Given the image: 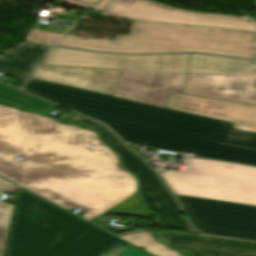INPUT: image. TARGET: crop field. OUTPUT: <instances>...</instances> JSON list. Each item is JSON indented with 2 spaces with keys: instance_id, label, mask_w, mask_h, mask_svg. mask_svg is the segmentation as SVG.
<instances>
[{
  "instance_id": "1",
  "label": "crop field",
  "mask_w": 256,
  "mask_h": 256,
  "mask_svg": "<svg viewBox=\"0 0 256 256\" xmlns=\"http://www.w3.org/2000/svg\"><path fill=\"white\" fill-rule=\"evenodd\" d=\"M118 165L95 132L0 106V175L66 209L86 211L83 218L101 228L106 212L151 215L130 209L142 199L134 176Z\"/></svg>"
},
{
  "instance_id": "2",
  "label": "crop field",
  "mask_w": 256,
  "mask_h": 256,
  "mask_svg": "<svg viewBox=\"0 0 256 256\" xmlns=\"http://www.w3.org/2000/svg\"><path fill=\"white\" fill-rule=\"evenodd\" d=\"M24 90L105 122L130 143L256 165V150L222 144L231 123L33 78Z\"/></svg>"
},
{
  "instance_id": "3",
  "label": "crop field",
  "mask_w": 256,
  "mask_h": 256,
  "mask_svg": "<svg viewBox=\"0 0 256 256\" xmlns=\"http://www.w3.org/2000/svg\"><path fill=\"white\" fill-rule=\"evenodd\" d=\"M128 246L20 189L4 256H117Z\"/></svg>"
},
{
  "instance_id": "4",
  "label": "crop field",
  "mask_w": 256,
  "mask_h": 256,
  "mask_svg": "<svg viewBox=\"0 0 256 256\" xmlns=\"http://www.w3.org/2000/svg\"><path fill=\"white\" fill-rule=\"evenodd\" d=\"M57 45L109 53L202 52L256 58V32L133 20L128 36L114 41L66 35Z\"/></svg>"
},
{
  "instance_id": "5",
  "label": "crop field",
  "mask_w": 256,
  "mask_h": 256,
  "mask_svg": "<svg viewBox=\"0 0 256 256\" xmlns=\"http://www.w3.org/2000/svg\"><path fill=\"white\" fill-rule=\"evenodd\" d=\"M186 162L185 173L162 172L174 193L256 205V168L192 158Z\"/></svg>"
},
{
  "instance_id": "6",
  "label": "crop field",
  "mask_w": 256,
  "mask_h": 256,
  "mask_svg": "<svg viewBox=\"0 0 256 256\" xmlns=\"http://www.w3.org/2000/svg\"><path fill=\"white\" fill-rule=\"evenodd\" d=\"M89 128L99 130L102 139L122 156V165L140 179V194L145 198L143 207L157 214L158 222L169 229L192 231L186 218L180 217L182 210L155 171L125 146L110 130L97 121L78 120Z\"/></svg>"
},
{
  "instance_id": "7",
  "label": "crop field",
  "mask_w": 256,
  "mask_h": 256,
  "mask_svg": "<svg viewBox=\"0 0 256 256\" xmlns=\"http://www.w3.org/2000/svg\"><path fill=\"white\" fill-rule=\"evenodd\" d=\"M177 196L202 232L256 241V206Z\"/></svg>"
},
{
  "instance_id": "8",
  "label": "crop field",
  "mask_w": 256,
  "mask_h": 256,
  "mask_svg": "<svg viewBox=\"0 0 256 256\" xmlns=\"http://www.w3.org/2000/svg\"><path fill=\"white\" fill-rule=\"evenodd\" d=\"M189 54L120 56L52 47L43 64L188 73Z\"/></svg>"
},
{
  "instance_id": "9",
  "label": "crop field",
  "mask_w": 256,
  "mask_h": 256,
  "mask_svg": "<svg viewBox=\"0 0 256 256\" xmlns=\"http://www.w3.org/2000/svg\"><path fill=\"white\" fill-rule=\"evenodd\" d=\"M100 14L143 21L256 31L250 19L178 10L147 0H113Z\"/></svg>"
},
{
  "instance_id": "10",
  "label": "crop field",
  "mask_w": 256,
  "mask_h": 256,
  "mask_svg": "<svg viewBox=\"0 0 256 256\" xmlns=\"http://www.w3.org/2000/svg\"><path fill=\"white\" fill-rule=\"evenodd\" d=\"M250 74H187L183 94L256 105V76Z\"/></svg>"
},
{
  "instance_id": "11",
  "label": "crop field",
  "mask_w": 256,
  "mask_h": 256,
  "mask_svg": "<svg viewBox=\"0 0 256 256\" xmlns=\"http://www.w3.org/2000/svg\"><path fill=\"white\" fill-rule=\"evenodd\" d=\"M186 74L124 71L114 96L165 107L171 92H183Z\"/></svg>"
},
{
  "instance_id": "12",
  "label": "crop field",
  "mask_w": 256,
  "mask_h": 256,
  "mask_svg": "<svg viewBox=\"0 0 256 256\" xmlns=\"http://www.w3.org/2000/svg\"><path fill=\"white\" fill-rule=\"evenodd\" d=\"M167 108L234 123V129L256 132V106L172 93Z\"/></svg>"
},
{
  "instance_id": "13",
  "label": "crop field",
  "mask_w": 256,
  "mask_h": 256,
  "mask_svg": "<svg viewBox=\"0 0 256 256\" xmlns=\"http://www.w3.org/2000/svg\"><path fill=\"white\" fill-rule=\"evenodd\" d=\"M123 71L37 65L30 77L113 96Z\"/></svg>"
},
{
  "instance_id": "14",
  "label": "crop field",
  "mask_w": 256,
  "mask_h": 256,
  "mask_svg": "<svg viewBox=\"0 0 256 256\" xmlns=\"http://www.w3.org/2000/svg\"><path fill=\"white\" fill-rule=\"evenodd\" d=\"M158 241L189 256H256V243L194 234L158 231Z\"/></svg>"
},
{
  "instance_id": "15",
  "label": "crop field",
  "mask_w": 256,
  "mask_h": 256,
  "mask_svg": "<svg viewBox=\"0 0 256 256\" xmlns=\"http://www.w3.org/2000/svg\"><path fill=\"white\" fill-rule=\"evenodd\" d=\"M47 46L27 42L17 49H8L5 53L11 56L9 61L0 58V72L14 78L9 84L21 88L30 75L33 65L42 60Z\"/></svg>"
},
{
  "instance_id": "16",
  "label": "crop field",
  "mask_w": 256,
  "mask_h": 256,
  "mask_svg": "<svg viewBox=\"0 0 256 256\" xmlns=\"http://www.w3.org/2000/svg\"><path fill=\"white\" fill-rule=\"evenodd\" d=\"M256 71V61L190 54L189 73H233Z\"/></svg>"
},
{
  "instance_id": "17",
  "label": "crop field",
  "mask_w": 256,
  "mask_h": 256,
  "mask_svg": "<svg viewBox=\"0 0 256 256\" xmlns=\"http://www.w3.org/2000/svg\"><path fill=\"white\" fill-rule=\"evenodd\" d=\"M0 104L48 115L58 106L0 83Z\"/></svg>"
},
{
  "instance_id": "18",
  "label": "crop field",
  "mask_w": 256,
  "mask_h": 256,
  "mask_svg": "<svg viewBox=\"0 0 256 256\" xmlns=\"http://www.w3.org/2000/svg\"><path fill=\"white\" fill-rule=\"evenodd\" d=\"M151 234L152 232H144L139 234L121 236L120 238L130 242L131 244L139 248L141 246L146 247L143 250L154 256H183V254L181 253H177L160 243H156Z\"/></svg>"
},
{
  "instance_id": "19",
  "label": "crop field",
  "mask_w": 256,
  "mask_h": 256,
  "mask_svg": "<svg viewBox=\"0 0 256 256\" xmlns=\"http://www.w3.org/2000/svg\"><path fill=\"white\" fill-rule=\"evenodd\" d=\"M224 143L256 149V133L231 129Z\"/></svg>"
},
{
  "instance_id": "20",
  "label": "crop field",
  "mask_w": 256,
  "mask_h": 256,
  "mask_svg": "<svg viewBox=\"0 0 256 256\" xmlns=\"http://www.w3.org/2000/svg\"><path fill=\"white\" fill-rule=\"evenodd\" d=\"M16 186L0 179V191H5L10 194H15ZM13 205L0 202V228L8 230L10 224Z\"/></svg>"
},
{
  "instance_id": "21",
  "label": "crop field",
  "mask_w": 256,
  "mask_h": 256,
  "mask_svg": "<svg viewBox=\"0 0 256 256\" xmlns=\"http://www.w3.org/2000/svg\"><path fill=\"white\" fill-rule=\"evenodd\" d=\"M59 36V34L32 28L25 40L45 45H51L57 40Z\"/></svg>"
},
{
  "instance_id": "22",
  "label": "crop field",
  "mask_w": 256,
  "mask_h": 256,
  "mask_svg": "<svg viewBox=\"0 0 256 256\" xmlns=\"http://www.w3.org/2000/svg\"><path fill=\"white\" fill-rule=\"evenodd\" d=\"M118 256H151V255L131 245Z\"/></svg>"
},
{
  "instance_id": "23",
  "label": "crop field",
  "mask_w": 256,
  "mask_h": 256,
  "mask_svg": "<svg viewBox=\"0 0 256 256\" xmlns=\"http://www.w3.org/2000/svg\"><path fill=\"white\" fill-rule=\"evenodd\" d=\"M7 231L0 230V256L3 254L6 238H7Z\"/></svg>"
},
{
  "instance_id": "24",
  "label": "crop field",
  "mask_w": 256,
  "mask_h": 256,
  "mask_svg": "<svg viewBox=\"0 0 256 256\" xmlns=\"http://www.w3.org/2000/svg\"><path fill=\"white\" fill-rule=\"evenodd\" d=\"M105 227H108V228H112L113 231L115 232H120V231H126V230H132L130 228H127V227H116V226H112V227H109V226H105ZM138 231H142L141 229H138V230H135V231H132V232H128V233H133V232H138ZM128 233H123V234H128ZM123 234H118V235H123Z\"/></svg>"
},
{
  "instance_id": "25",
  "label": "crop field",
  "mask_w": 256,
  "mask_h": 256,
  "mask_svg": "<svg viewBox=\"0 0 256 256\" xmlns=\"http://www.w3.org/2000/svg\"><path fill=\"white\" fill-rule=\"evenodd\" d=\"M111 0H101L94 8L93 10L100 11L106 4H108Z\"/></svg>"
},
{
  "instance_id": "26",
  "label": "crop field",
  "mask_w": 256,
  "mask_h": 256,
  "mask_svg": "<svg viewBox=\"0 0 256 256\" xmlns=\"http://www.w3.org/2000/svg\"><path fill=\"white\" fill-rule=\"evenodd\" d=\"M58 1L69 3V4H72V5H76V6H80L82 8L88 7L87 5L77 3V2H74V1H71V0H58Z\"/></svg>"
},
{
  "instance_id": "27",
  "label": "crop field",
  "mask_w": 256,
  "mask_h": 256,
  "mask_svg": "<svg viewBox=\"0 0 256 256\" xmlns=\"http://www.w3.org/2000/svg\"><path fill=\"white\" fill-rule=\"evenodd\" d=\"M79 1L86 2V3H89L91 5H93L97 2V0H79Z\"/></svg>"
},
{
  "instance_id": "28",
  "label": "crop field",
  "mask_w": 256,
  "mask_h": 256,
  "mask_svg": "<svg viewBox=\"0 0 256 256\" xmlns=\"http://www.w3.org/2000/svg\"><path fill=\"white\" fill-rule=\"evenodd\" d=\"M252 74H255V75H256V72H252Z\"/></svg>"
},
{
  "instance_id": "29",
  "label": "crop field",
  "mask_w": 256,
  "mask_h": 256,
  "mask_svg": "<svg viewBox=\"0 0 256 256\" xmlns=\"http://www.w3.org/2000/svg\"><path fill=\"white\" fill-rule=\"evenodd\" d=\"M256 19V18H255Z\"/></svg>"
}]
</instances>
